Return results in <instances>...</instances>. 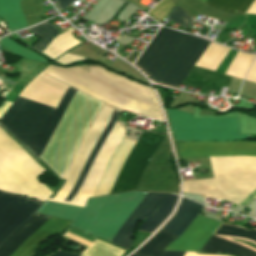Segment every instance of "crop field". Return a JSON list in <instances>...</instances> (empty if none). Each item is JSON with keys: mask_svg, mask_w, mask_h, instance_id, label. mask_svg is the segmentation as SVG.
Wrapping results in <instances>:
<instances>
[{"mask_svg": "<svg viewBox=\"0 0 256 256\" xmlns=\"http://www.w3.org/2000/svg\"><path fill=\"white\" fill-rule=\"evenodd\" d=\"M81 67L88 70L90 74L77 66L59 68L50 65L42 72L118 108L128 109L163 121L158 103L150 88L116 75L99 65ZM42 72L25 87L20 96L57 109L69 86L42 74ZM75 92L76 90L69 87L57 110L18 97L0 123L37 159L42 154ZM102 104V102L78 91L74 95L41 156L59 176L64 173L82 135ZM112 112L113 109L104 105L100 109L64 175V178L67 179L65 184L61 191L48 201L85 206L88 197H91L119 142L125 135L124 128L115 123L119 112L115 110L113 114ZM164 136L165 134L143 131L136 145L135 142L125 139L115 152L92 196L109 193L125 159L135 145L126 159L110 194L134 190L148 160ZM64 199L67 202L72 200V202H63Z\"/></svg>", "mask_w": 256, "mask_h": 256, "instance_id": "8a807250", "label": "crop field"}, {"mask_svg": "<svg viewBox=\"0 0 256 256\" xmlns=\"http://www.w3.org/2000/svg\"><path fill=\"white\" fill-rule=\"evenodd\" d=\"M147 193L131 192L88 199L85 208L45 202L38 213L74 221L71 226L111 242ZM177 195L148 193L111 243L128 248L138 221L139 232L151 234L169 215Z\"/></svg>", "mask_w": 256, "mask_h": 256, "instance_id": "ac0d7876", "label": "crop field"}, {"mask_svg": "<svg viewBox=\"0 0 256 256\" xmlns=\"http://www.w3.org/2000/svg\"><path fill=\"white\" fill-rule=\"evenodd\" d=\"M182 157H256V142L177 143ZM209 158L213 179L183 182V192L226 199L250 194L256 189V158Z\"/></svg>", "mask_w": 256, "mask_h": 256, "instance_id": "34b2d1b8", "label": "crop field"}, {"mask_svg": "<svg viewBox=\"0 0 256 256\" xmlns=\"http://www.w3.org/2000/svg\"><path fill=\"white\" fill-rule=\"evenodd\" d=\"M208 45L203 39L162 27L135 65L152 81L177 88Z\"/></svg>", "mask_w": 256, "mask_h": 256, "instance_id": "412701ff", "label": "crop field"}, {"mask_svg": "<svg viewBox=\"0 0 256 256\" xmlns=\"http://www.w3.org/2000/svg\"><path fill=\"white\" fill-rule=\"evenodd\" d=\"M45 171L0 128V190L45 201L52 192L37 178Z\"/></svg>", "mask_w": 256, "mask_h": 256, "instance_id": "f4fd0767", "label": "crop field"}, {"mask_svg": "<svg viewBox=\"0 0 256 256\" xmlns=\"http://www.w3.org/2000/svg\"><path fill=\"white\" fill-rule=\"evenodd\" d=\"M203 205L182 198L179 208L163 229L179 236L199 214ZM221 222L197 216L166 250L199 252Z\"/></svg>", "mask_w": 256, "mask_h": 256, "instance_id": "dd49c442", "label": "crop field"}, {"mask_svg": "<svg viewBox=\"0 0 256 256\" xmlns=\"http://www.w3.org/2000/svg\"><path fill=\"white\" fill-rule=\"evenodd\" d=\"M176 140H238L239 118H193V115L167 109Z\"/></svg>", "mask_w": 256, "mask_h": 256, "instance_id": "e52e79f7", "label": "crop field"}, {"mask_svg": "<svg viewBox=\"0 0 256 256\" xmlns=\"http://www.w3.org/2000/svg\"><path fill=\"white\" fill-rule=\"evenodd\" d=\"M51 217L35 213L1 247L0 256H11L19 246L32 236ZM72 222L52 217L32 237L26 240L12 256H32L41 241L52 234L63 232Z\"/></svg>", "mask_w": 256, "mask_h": 256, "instance_id": "d8731c3e", "label": "crop field"}, {"mask_svg": "<svg viewBox=\"0 0 256 256\" xmlns=\"http://www.w3.org/2000/svg\"><path fill=\"white\" fill-rule=\"evenodd\" d=\"M42 204L43 202L0 192V246L20 228Z\"/></svg>", "mask_w": 256, "mask_h": 256, "instance_id": "5a996713", "label": "crop field"}, {"mask_svg": "<svg viewBox=\"0 0 256 256\" xmlns=\"http://www.w3.org/2000/svg\"><path fill=\"white\" fill-rule=\"evenodd\" d=\"M214 234L230 235L248 238L256 242V230L247 231L237 226L226 225L222 223ZM200 252L208 253H224L233 254L236 256H256V252L234 244L232 242L219 239L215 236H211L208 242L204 245Z\"/></svg>", "mask_w": 256, "mask_h": 256, "instance_id": "3316defc", "label": "crop field"}, {"mask_svg": "<svg viewBox=\"0 0 256 256\" xmlns=\"http://www.w3.org/2000/svg\"><path fill=\"white\" fill-rule=\"evenodd\" d=\"M0 17L5 21L9 32L27 27L20 0H0Z\"/></svg>", "mask_w": 256, "mask_h": 256, "instance_id": "28ad6ade", "label": "crop field"}, {"mask_svg": "<svg viewBox=\"0 0 256 256\" xmlns=\"http://www.w3.org/2000/svg\"><path fill=\"white\" fill-rule=\"evenodd\" d=\"M64 236L87 246L88 248L83 253H85L90 248V246L94 243V242L91 243L84 239L78 238L68 232H66L64 234ZM123 253H124V250H122V249L116 248L114 246H111V245H108L106 243L96 240V242L92 245V247L83 255L71 254V253H65L62 251H58L55 254H53L52 256H80V255L81 256H121Z\"/></svg>", "mask_w": 256, "mask_h": 256, "instance_id": "d1516ede", "label": "crop field"}, {"mask_svg": "<svg viewBox=\"0 0 256 256\" xmlns=\"http://www.w3.org/2000/svg\"><path fill=\"white\" fill-rule=\"evenodd\" d=\"M176 238L177 236L161 229L138 249L135 254L142 256H160L165 248Z\"/></svg>", "mask_w": 256, "mask_h": 256, "instance_id": "22f410ed", "label": "crop field"}, {"mask_svg": "<svg viewBox=\"0 0 256 256\" xmlns=\"http://www.w3.org/2000/svg\"><path fill=\"white\" fill-rule=\"evenodd\" d=\"M74 31L75 30L72 27L62 31L60 34L55 36V38L49 43L43 53L54 60L67 49L78 44L80 41H77L72 37V32Z\"/></svg>", "mask_w": 256, "mask_h": 256, "instance_id": "cbeb9de0", "label": "crop field"}, {"mask_svg": "<svg viewBox=\"0 0 256 256\" xmlns=\"http://www.w3.org/2000/svg\"><path fill=\"white\" fill-rule=\"evenodd\" d=\"M33 34L41 37L42 39L32 48L39 52H41L46 48L48 43L54 38V36L59 33L60 31L56 29L52 24H50L48 21L37 25L35 27H32L28 29Z\"/></svg>", "mask_w": 256, "mask_h": 256, "instance_id": "5142ce71", "label": "crop field"}, {"mask_svg": "<svg viewBox=\"0 0 256 256\" xmlns=\"http://www.w3.org/2000/svg\"><path fill=\"white\" fill-rule=\"evenodd\" d=\"M253 0H207L206 4L229 13L244 15Z\"/></svg>", "mask_w": 256, "mask_h": 256, "instance_id": "d9b57169", "label": "crop field"}, {"mask_svg": "<svg viewBox=\"0 0 256 256\" xmlns=\"http://www.w3.org/2000/svg\"><path fill=\"white\" fill-rule=\"evenodd\" d=\"M0 45L3 46L8 51H10L20 57L47 62L44 59H42L41 57L34 54L33 52L19 47L17 44H15L13 41H11L10 39H8L6 37L0 39Z\"/></svg>", "mask_w": 256, "mask_h": 256, "instance_id": "733c2abd", "label": "crop field"}, {"mask_svg": "<svg viewBox=\"0 0 256 256\" xmlns=\"http://www.w3.org/2000/svg\"><path fill=\"white\" fill-rule=\"evenodd\" d=\"M175 5L176 3L174 0H162L148 13V15L160 23Z\"/></svg>", "mask_w": 256, "mask_h": 256, "instance_id": "4a817a6b", "label": "crop field"}, {"mask_svg": "<svg viewBox=\"0 0 256 256\" xmlns=\"http://www.w3.org/2000/svg\"><path fill=\"white\" fill-rule=\"evenodd\" d=\"M174 23L180 24L185 29H189V27L194 22L187 14H185L177 5L167 16Z\"/></svg>", "mask_w": 256, "mask_h": 256, "instance_id": "bc2a9ffb", "label": "crop field"}, {"mask_svg": "<svg viewBox=\"0 0 256 256\" xmlns=\"http://www.w3.org/2000/svg\"><path fill=\"white\" fill-rule=\"evenodd\" d=\"M248 196V195H247ZM247 196H242L238 198H233V199H228V201L234 202L236 205L241 202L245 197ZM256 197V190L253 191L247 198H245L241 203H239L237 206H244L247 205L250 201H252Z\"/></svg>", "mask_w": 256, "mask_h": 256, "instance_id": "214f88e0", "label": "crop field"}, {"mask_svg": "<svg viewBox=\"0 0 256 256\" xmlns=\"http://www.w3.org/2000/svg\"><path fill=\"white\" fill-rule=\"evenodd\" d=\"M84 59L83 57H79V56H75V55H71L68 53H65L64 55H62L60 58H58L56 60V62L62 63V64H67V63H71L73 61H77V60H81Z\"/></svg>", "mask_w": 256, "mask_h": 256, "instance_id": "92a150f3", "label": "crop field"}, {"mask_svg": "<svg viewBox=\"0 0 256 256\" xmlns=\"http://www.w3.org/2000/svg\"><path fill=\"white\" fill-rule=\"evenodd\" d=\"M244 79L256 83V60L253 63L251 69L249 70L248 74L245 76Z\"/></svg>", "mask_w": 256, "mask_h": 256, "instance_id": "dafd665d", "label": "crop field"}, {"mask_svg": "<svg viewBox=\"0 0 256 256\" xmlns=\"http://www.w3.org/2000/svg\"><path fill=\"white\" fill-rule=\"evenodd\" d=\"M59 3L55 4L58 9L61 11V10H64L65 8L69 7L74 1L76 0H57ZM56 7V8H57Z\"/></svg>", "mask_w": 256, "mask_h": 256, "instance_id": "00972430", "label": "crop field"}, {"mask_svg": "<svg viewBox=\"0 0 256 256\" xmlns=\"http://www.w3.org/2000/svg\"><path fill=\"white\" fill-rule=\"evenodd\" d=\"M185 252H173V251H164L161 256H183ZM131 256H138V255H131ZM185 256H201V255H189L185 254Z\"/></svg>", "mask_w": 256, "mask_h": 256, "instance_id": "a9b5d70f", "label": "crop field"}, {"mask_svg": "<svg viewBox=\"0 0 256 256\" xmlns=\"http://www.w3.org/2000/svg\"><path fill=\"white\" fill-rule=\"evenodd\" d=\"M11 103L10 102H6L4 101L1 105H0V118L2 117V115L7 111V109L10 107Z\"/></svg>", "mask_w": 256, "mask_h": 256, "instance_id": "4177f3b9", "label": "crop field"}, {"mask_svg": "<svg viewBox=\"0 0 256 256\" xmlns=\"http://www.w3.org/2000/svg\"><path fill=\"white\" fill-rule=\"evenodd\" d=\"M126 1L130 2L131 4L135 5V6L138 7V8H140V9L143 10L144 12H145L146 10H148V8H146V7H144V6H142V5H140V4L137 3L139 0H126Z\"/></svg>", "mask_w": 256, "mask_h": 256, "instance_id": "730fd06b", "label": "crop field"}, {"mask_svg": "<svg viewBox=\"0 0 256 256\" xmlns=\"http://www.w3.org/2000/svg\"><path fill=\"white\" fill-rule=\"evenodd\" d=\"M246 14H256V0L255 2L249 7Z\"/></svg>", "mask_w": 256, "mask_h": 256, "instance_id": "eef30255", "label": "crop field"}, {"mask_svg": "<svg viewBox=\"0 0 256 256\" xmlns=\"http://www.w3.org/2000/svg\"><path fill=\"white\" fill-rule=\"evenodd\" d=\"M201 1L205 3L206 0H201Z\"/></svg>", "mask_w": 256, "mask_h": 256, "instance_id": "ae1a2a85", "label": "crop field"}]
</instances>
